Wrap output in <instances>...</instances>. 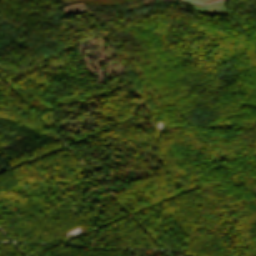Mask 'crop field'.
<instances>
[{
	"mask_svg": "<svg viewBox=\"0 0 256 256\" xmlns=\"http://www.w3.org/2000/svg\"><path fill=\"white\" fill-rule=\"evenodd\" d=\"M212 1H216V0H207V1L205 2V4L208 3V2H212Z\"/></svg>",
	"mask_w": 256,
	"mask_h": 256,
	"instance_id": "crop-field-2",
	"label": "crop field"
},
{
	"mask_svg": "<svg viewBox=\"0 0 256 256\" xmlns=\"http://www.w3.org/2000/svg\"><path fill=\"white\" fill-rule=\"evenodd\" d=\"M191 2L204 3L206 0H187Z\"/></svg>",
	"mask_w": 256,
	"mask_h": 256,
	"instance_id": "crop-field-1",
	"label": "crop field"
}]
</instances>
